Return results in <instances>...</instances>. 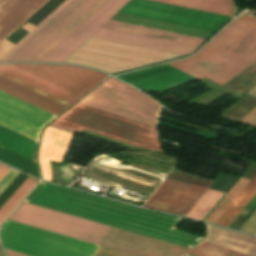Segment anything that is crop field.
<instances>
[{
  "mask_svg": "<svg viewBox=\"0 0 256 256\" xmlns=\"http://www.w3.org/2000/svg\"><path fill=\"white\" fill-rule=\"evenodd\" d=\"M133 0H109L41 62H63L89 39L185 56L204 39L110 21ZM121 14L214 32L229 17L134 0Z\"/></svg>",
  "mask_w": 256,
  "mask_h": 256,
  "instance_id": "obj_1",
  "label": "crop field"
},
{
  "mask_svg": "<svg viewBox=\"0 0 256 256\" xmlns=\"http://www.w3.org/2000/svg\"><path fill=\"white\" fill-rule=\"evenodd\" d=\"M191 248L201 237L174 230L182 218L42 182L25 201ZM202 241V240H201Z\"/></svg>",
  "mask_w": 256,
  "mask_h": 256,
  "instance_id": "obj_2",
  "label": "crop field"
},
{
  "mask_svg": "<svg viewBox=\"0 0 256 256\" xmlns=\"http://www.w3.org/2000/svg\"><path fill=\"white\" fill-rule=\"evenodd\" d=\"M101 245L111 226L23 202L9 218ZM102 246L139 256H181L189 248L112 227Z\"/></svg>",
  "mask_w": 256,
  "mask_h": 256,
  "instance_id": "obj_3",
  "label": "crop field"
},
{
  "mask_svg": "<svg viewBox=\"0 0 256 256\" xmlns=\"http://www.w3.org/2000/svg\"><path fill=\"white\" fill-rule=\"evenodd\" d=\"M256 60V17L240 15L194 56L166 63L221 85Z\"/></svg>",
  "mask_w": 256,
  "mask_h": 256,
  "instance_id": "obj_4",
  "label": "crop field"
},
{
  "mask_svg": "<svg viewBox=\"0 0 256 256\" xmlns=\"http://www.w3.org/2000/svg\"><path fill=\"white\" fill-rule=\"evenodd\" d=\"M108 0H66L1 59L40 62Z\"/></svg>",
  "mask_w": 256,
  "mask_h": 256,
  "instance_id": "obj_5",
  "label": "crop field"
},
{
  "mask_svg": "<svg viewBox=\"0 0 256 256\" xmlns=\"http://www.w3.org/2000/svg\"><path fill=\"white\" fill-rule=\"evenodd\" d=\"M52 124L77 132L82 129L147 150L161 151L156 129L77 103Z\"/></svg>",
  "mask_w": 256,
  "mask_h": 256,
  "instance_id": "obj_6",
  "label": "crop field"
},
{
  "mask_svg": "<svg viewBox=\"0 0 256 256\" xmlns=\"http://www.w3.org/2000/svg\"><path fill=\"white\" fill-rule=\"evenodd\" d=\"M4 247L31 256H93L98 245L7 220L0 231ZM94 256H134L109 248Z\"/></svg>",
  "mask_w": 256,
  "mask_h": 256,
  "instance_id": "obj_7",
  "label": "crop field"
},
{
  "mask_svg": "<svg viewBox=\"0 0 256 256\" xmlns=\"http://www.w3.org/2000/svg\"><path fill=\"white\" fill-rule=\"evenodd\" d=\"M79 103L154 127L160 108L153 99L111 77Z\"/></svg>",
  "mask_w": 256,
  "mask_h": 256,
  "instance_id": "obj_8",
  "label": "crop field"
},
{
  "mask_svg": "<svg viewBox=\"0 0 256 256\" xmlns=\"http://www.w3.org/2000/svg\"><path fill=\"white\" fill-rule=\"evenodd\" d=\"M55 116L0 92V125L38 142L41 128Z\"/></svg>",
  "mask_w": 256,
  "mask_h": 256,
  "instance_id": "obj_9",
  "label": "crop field"
},
{
  "mask_svg": "<svg viewBox=\"0 0 256 256\" xmlns=\"http://www.w3.org/2000/svg\"><path fill=\"white\" fill-rule=\"evenodd\" d=\"M206 190L165 179L143 207L185 216Z\"/></svg>",
  "mask_w": 256,
  "mask_h": 256,
  "instance_id": "obj_10",
  "label": "crop field"
},
{
  "mask_svg": "<svg viewBox=\"0 0 256 256\" xmlns=\"http://www.w3.org/2000/svg\"><path fill=\"white\" fill-rule=\"evenodd\" d=\"M82 95L101 82L107 75L94 70L64 65L16 64Z\"/></svg>",
  "mask_w": 256,
  "mask_h": 256,
  "instance_id": "obj_11",
  "label": "crop field"
},
{
  "mask_svg": "<svg viewBox=\"0 0 256 256\" xmlns=\"http://www.w3.org/2000/svg\"><path fill=\"white\" fill-rule=\"evenodd\" d=\"M0 76L31 89L67 107L82 95L22 69L14 64L0 65Z\"/></svg>",
  "mask_w": 256,
  "mask_h": 256,
  "instance_id": "obj_12",
  "label": "crop field"
},
{
  "mask_svg": "<svg viewBox=\"0 0 256 256\" xmlns=\"http://www.w3.org/2000/svg\"><path fill=\"white\" fill-rule=\"evenodd\" d=\"M38 143L0 126V146L36 162ZM0 147V160L39 178L37 164Z\"/></svg>",
  "mask_w": 256,
  "mask_h": 256,
  "instance_id": "obj_13",
  "label": "crop field"
},
{
  "mask_svg": "<svg viewBox=\"0 0 256 256\" xmlns=\"http://www.w3.org/2000/svg\"><path fill=\"white\" fill-rule=\"evenodd\" d=\"M117 77L139 89L143 87L158 89L195 79L166 64L120 75Z\"/></svg>",
  "mask_w": 256,
  "mask_h": 256,
  "instance_id": "obj_14",
  "label": "crop field"
},
{
  "mask_svg": "<svg viewBox=\"0 0 256 256\" xmlns=\"http://www.w3.org/2000/svg\"><path fill=\"white\" fill-rule=\"evenodd\" d=\"M72 134L47 127L39 153V162L44 180L51 181V167L49 160L61 162Z\"/></svg>",
  "mask_w": 256,
  "mask_h": 256,
  "instance_id": "obj_15",
  "label": "crop field"
},
{
  "mask_svg": "<svg viewBox=\"0 0 256 256\" xmlns=\"http://www.w3.org/2000/svg\"><path fill=\"white\" fill-rule=\"evenodd\" d=\"M46 0H0V42Z\"/></svg>",
  "mask_w": 256,
  "mask_h": 256,
  "instance_id": "obj_16",
  "label": "crop field"
},
{
  "mask_svg": "<svg viewBox=\"0 0 256 256\" xmlns=\"http://www.w3.org/2000/svg\"><path fill=\"white\" fill-rule=\"evenodd\" d=\"M0 91L18 98L26 103L38 107L55 116L63 112L67 107L41 96L31 90L17 85L7 79L0 77Z\"/></svg>",
  "mask_w": 256,
  "mask_h": 256,
  "instance_id": "obj_17",
  "label": "crop field"
},
{
  "mask_svg": "<svg viewBox=\"0 0 256 256\" xmlns=\"http://www.w3.org/2000/svg\"><path fill=\"white\" fill-rule=\"evenodd\" d=\"M210 242L251 256H256L255 237L213 226Z\"/></svg>",
  "mask_w": 256,
  "mask_h": 256,
  "instance_id": "obj_18",
  "label": "crop field"
},
{
  "mask_svg": "<svg viewBox=\"0 0 256 256\" xmlns=\"http://www.w3.org/2000/svg\"><path fill=\"white\" fill-rule=\"evenodd\" d=\"M222 15L232 16L235 4L232 0H151Z\"/></svg>",
  "mask_w": 256,
  "mask_h": 256,
  "instance_id": "obj_19",
  "label": "crop field"
},
{
  "mask_svg": "<svg viewBox=\"0 0 256 256\" xmlns=\"http://www.w3.org/2000/svg\"><path fill=\"white\" fill-rule=\"evenodd\" d=\"M256 194V175L251 179L248 185L232 202L222 216L215 224L228 227L235 217L241 212L251 198Z\"/></svg>",
  "mask_w": 256,
  "mask_h": 256,
  "instance_id": "obj_20",
  "label": "crop field"
},
{
  "mask_svg": "<svg viewBox=\"0 0 256 256\" xmlns=\"http://www.w3.org/2000/svg\"><path fill=\"white\" fill-rule=\"evenodd\" d=\"M223 194V192L208 189L186 216L202 220Z\"/></svg>",
  "mask_w": 256,
  "mask_h": 256,
  "instance_id": "obj_21",
  "label": "crop field"
},
{
  "mask_svg": "<svg viewBox=\"0 0 256 256\" xmlns=\"http://www.w3.org/2000/svg\"><path fill=\"white\" fill-rule=\"evenodd\" d=\"M39 181L29 177L25 183L15 192V194L0 209V224L15 209V207L25 198Z\"/></svg>",
  "mask_w": 256,
  "mask_h": 256,
  "instance_id": "obj_22",
  "label": "crop field"
},
{
  "mask_svg": "<svg viewBox=\"0 0 256 256\" xmlns=\"http://www.w3.org/2000/svg\"><path fill=\"white\" fill-rule=\"evenodd\" d=\"M248 182L249 180L241 177L232 187V189L227 193V195L222 199V201L217 205V207L212 211V213L207 217L205 222L214 224Z\"/></svg>",
  "mask_w": 256,
  "mask_h": 256,
  "instance_id": "obj_23",
  "label": "crop field"
},
{
  "mask_svg": "<svg viewBox=\"0 0 256 256\" xmlns=\"http://www.w3.org/2000/svg\"><path fill=\"white\" fill-rule=\"evenodd\" d=\"M187 254L192 256H247L205 241Z\"/></svg>",
  "mask_w": 256,
  "mask_h": 256,
  "instance_id": "obj_24",
  "label": "crop field"
},
{
  "mask_svg": "<svg viewBox=\"0 0 256 256\" xmlns=\"http://www.w3.org/2000/svg\"><path fill=\"white\" fill-rule=\"evenodd\" d=\"M241 231L256 234V211L240 229Z\"/></svg>",
  "mask_w": 256,
  "mask_h": 256,
  "instance_id": "obj_25",
  "label": "crop field"
},
{
  "mask_svg": "<svg viewBox=\"0 0 256 256\" xmlns=\"http://www.w3.org/2000/svg\"><path fill=\"white\" fill-rule=\"evenodd\" d=\"M19 174V172L11 169L7 175L0 181V194L4 189L14 180V178Z\"/></svg>",
  "mask_w": 256,
  "mask_h": 256,
  "instance_id": "obj_26",
  "label": "crop field"
},
{
  "mask_svg": "<svg viewBox=\"0 0 256 256\" xmlns=\"http://www.w3.org/2000/svg\"><path fill=\"white\" fill-rule=\"evenodd\" d=\"M239 122L249 124L256 127V107L245 115Z\"/></svg>",
  "mask_w": 256,
  "mask_h": 256,
  "instance_id": "obj_27",
  "label": "crop field"
},
{
  "mask_svg": "<svg viewBox=\"0 0 256 256\" xmlns=\"http://www.w3.org/2000/svg\"><path fill=\"white\" fill-rule=\"evenodd\" d=\"M10 168L0 164V180L6 175Z\"/></svg>",
  "mask_w": 256,
  "mask_h": 256,
  "instance_id": "obj_28",
  "label": "crop field"
},
{
  "mask_svg": "<svg viewBox=\"0 0 256 256\" xmlns=\"http://www.w3.org/2000/svg\"><path fill=\"white\" fill-rule=\"evenodd\" d=\"M6 254H7V256H28V255H24V254H21V253L13 252V251H10V250H6Z\"/></svg>",
  "mask_w": 256,
  "mask_h": 256,
  "instance_id": "obj_29",
  "label": "crop field"
},
{
  "mask_svg": "<svg viewBox=\"0 0 256 256\" xmlns=\"http://www.w3.org/2000/svg\"><path fill=\"white\" fill-rule=\"evenodd\" d=\"M49 127L56 128V129L74 134V131H71V130H68V129H65V128H61V127H58V126H55V125H52V124H50Z\"/></svg>",
  "mask_w": 256,
  "mask_h": 256,
  "instance_id": "obj_30",
  "label": "crop field"
},
{
  "mask_svg": "<svg viewBox=\"0 0 256 256\" xmlns=\"http://www.w3.org/2000/svg\"><path fill=\"white\" fill-rule=\"evenodd\" d=\"M0 256H4L1 246H0Z\"/></svg>",
  "mask_w": 256,
  "mask_h": 256,
  "instance_id": "obj_31",
  "label": "crop field"
},
{
  "mask_svg": "<svg viewBox=\"0 0 256 256\" xmlns=\"http://www.w3.org/2000/svg\"><path fill=\"white\" fill-rule=\"evenodd\" d=\"M249 11H251V12H254V13H256V11H254V10H250V9H248Z\"/></svg>",
  "mask_w": 256,
  "mask_h": 256,
  "instance_id": "obj_32",
  "label": "crop field"
}]
</instances>
